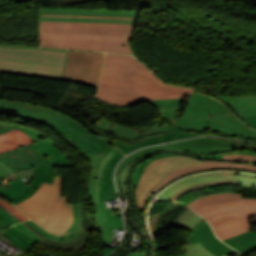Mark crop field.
Returning a JSON list of instances; mask_svg holds the SVG:
<instances>
[{"mask_svg": "<svg viewBox=\"0 0 256 256\" xmlns=\"http://www.w3.org/2000/svg\"><path fill=\"white\" fill-rule=\"evenodd\" d=\"M194 91L167 85L144 64L122 54H105L96 98L119 106H134L144 100L180 98Z\"/></svg>", "mask_w": 256, "mask_h": 256, "instance_id": "8a807250", "label": "crop field"}, {"mask_svg": "<svg viewBox=\"0 0 256 256\" xmlns=\"http://www.w3.org/2000/svg\"><path fill=\"white\" fill-rule=\"evenodd\" d=\"M134 25L47 22L40 24V47L131 54Z\"/></svg>", "mask_w": 256, "mask_h": 256, "instance_id": "ac0d7876", "label": "crop field"}, {"mask_svg": "<svg viewBox=\"0 0 256 256\" xmlns=\"http://www.w3.org/2000/svg\"><path fill=\"white\" fill-rule=\"evenodd\" d=\"M92 166L89 179V191L96 213L91 214L92 220L99 231L101 229V242L109 246L113 229H123V219L120 211L112 212L106 209L104 200L117 198L113 182L115 165L124 157L116 148L110 147L102 154H85Z\"/></svg>", "mask_w": 256, "mask_h": 256, "instance_id": "34b2d1b8", "label": "crop field"}, {"mask_svg": "<svg viewBox=\"0 0 256 256\" xmlns=\"http://www.w3.org/2000/svg\"><path fill=\"white\" fill-rule=\"evenodd\" d=\"M60 113L25 102L0 99V114L11 115L33 122L39 120L40 124L54 129L80 154H98L110 147V144L93 135L87 128Z\"/></svg>", "mask_w": 256, "mask_h": 256, "instance_id": "412701ff", "label": "crop field"}, {"mask_svg": "<svg viewBox=\"0 0 256 256\" xmlns=\"http://www.w3.org/2000/svg\"><path fill=\"white\" fill-rule=\"evenodd\" d=\"M188 207L207 219L221 240L251 230L247 218L256 217V199H242L240 194L208 195Z\"/></svg>", "mask_w": 256, "mask_h": 256, "instance_id": "f4fd0767", "label": "crop field"}, {"mask_svg": "<svg viewBox=\"0 0 256 256\" xmlns=\"http://www.w3.org/2000/svg\"><path fill=\"white\" fill-rule=\"evenodd\" d=\"M68 50L0 45V72L61 80Z\"/></svg>", "mask_w": 256, "mask_h": 256, "instance_id": "dd49c442", "label": "crop field"}, {"mask_svg": "<svg viewBox=\"0 0 256 256\" xmlns=\"http://www.w3.org/2000/svg\"><path fill=\"white\" fill-rule=\"evenodd\" d=\"M207 125L214 131L256 138V131L236 119L226 106L195 92L189 96L185 111L175 126L186 130L205 131Z\"/></svg>", "mask_w": 256, "mask_h": 256, "instance_id": "e52e79f7", "label": "crop field"}, {"mask_svg": "<svg viewBox=\"0 0 256 256\" xmlns=\"http://www.w3.org/2000/svg\"><path fill=\"white\" fill-rule=\"evenodd\" d=\"M60 192L61 178H55L53 185L42 183L33 196L15 206L43 229L61 236L74 217L72 204L67 205V196L60 198Z\"/></svg>", "mask_w": 256, "mask_h": 256, "instance_id": "d8731c3e", "label": "crop field"}, {"mask_svg": "<svg viewBox=\"0 0 256 256\" xmlns=\"http://www.w3.org/2000/svg\"><path fill=\"white\" fill-rule=\"evenodd\" d=\"M183 98L180 99H165V100H156V101H148L152 105L156 106L158 108V114L159 116L163 117L164 119L170 120L172 123V126L165 125V124H153L151 127L144 131H137L132 129L131 127H121L117 124H114L104 118H100L98 121H96V127L98 129L110 131L111 133L115 135H119L127 140L134 139L142 134H151V133H157V132H169L172 131L169 134H162L159 136L149 137L145 138L143 142L136 143L133 145H123L117 141H112L110 139L102 138L106 140L108 143L112 145H116L123 153L128 154L142 146L159 143V142H167V141H173L178 140L182 138L192 137L199 134H189L181 132L180 129L174 127V120L176 118V115L178 113L179 105L182 102Z\"/></svg>", "mask_w": 256, "mask_h": 256, "instance_id": "5a996713", "label": "crop field"}, {"mask_svg": "<svg viewBox=\"0 0 256 256\" xmlns=\"http://www.w3.org/2000/svg\"><path fill=\"white\" fill-rule=\"evenodd\" d=\"M202 164L200 160L186 156H170L157 159L143 170L135 191L137 206L143 210L146 195L170 172L181 167Z\"/></svg>", "mask_w": 256, "mask_h": 256, "instance_id": "3316defc", "label": "crop field"}, {"mask_svg": "<svg viewBox=\"0 0 256 256\" xmlns=\"http://www.w3.org/2000/svg\"><path fill=\"white\" fill-rule=\"evenodd\" d=\"M104 53L70 51L63 79L97 88Z\"/></svg>", "mask_w": 256, "mask_h": 256, "instance_id": "28ad6ade", "label": "crop field"}, {"mask_svg": "<svg viewBox=\"0 0 256 256\" xmlns=\"http://www.w3.org/2000/svg\"><path fill=\"white\" fill-rule=\"evenodd\" d=\"M137 11H75L41 8V20L134 24Z\"/></svg>", "mask_w": 256, "mask_h": 256, "instance_id": "d1516ede", "label": "crop field"}, {"mask_svg": "<svg viewBox=\"0 0 256 256\" xmlns=\"http://www.w3.org/2000/svg\"><path fill=\"white\" fill-rule=\"evenodd\" d=\"M242 147H253L256 148V146H240L235 143H228L225 141H219L216 139H210V138H196V139H190L185 141H179L174 142L166 145H161L157 147L152 148H146L141 149L131 155H129L125 160H123L117 170H116V183L118 185L120 197H122L121 190L119 187V181H118V171L129 162L135 161L141 157H144L150 153H153L155 151L159 150H176V151H189V152H195V153H207V152H214L219 150H225V149H231V148H242Z\"/></svg>", "mask_w": 256, "mask_h": 256, "instance_id": "22f410ed", "label": "crop field"}, {"mask_svg": "<svg viewBox=\"0 0 256 256\" xmlns=\"http://www.w3.org/2000/svg\"><path fill=\"white\" fill-rule=\"evenodd\" d=\"M223 159L237 160V161H248V162H250V164H233V163H229V162L202 161L203 165L181 168L179 170H176V171L168 174L164 178V180L149 193L148 197H150L156 190H158L160 187L165 185L170 180H172L176 177H179L183 174L192 172V171L213 169V168H238V169L256 171V156L241 155V154H227V155H224Z\"/></svg>", "mask_w": 256, "mask_h": 256, "instance_id": "cbeb9de0", "label": "crop field"}, {"mask_svg": "<svg viewBox=\"0 0 256 256\" xmlns=\"http://www.w3.org/2000/svg\"><path fill=\"white\" fill-rule=\"evenodd\" d=\"M215 179H239L240 184L244 185H256V178L243 176V175H231V172H210L202 173L190 176L185 179H181L174 184L170 185L158 196L167 200L170 196L174 195L177 191L190 186L192 184L205 182Z\"/></svg>", "mask_w": 256, "mask_h": 256, "instance_id": "5142ce71", "label": "crop field"}, {"mask_svg": "<svg viewBox=\"0 0 256 256\" xmlns=\"http://www.w3.org/2000/svg\"><path fill=\"white\" fill-rule=\"evenodd\" d=\"M0 161L8 166L12 172L45 163L35 150L34 143L7 153H1Z\"/></svg>", "mask_w": 256, "mask_h": 256, "instance_id": "d9b57169", "label": "crop field"}, {"mask_svg": "<svg viewBox=\"0 0 256 256\" xmlns=\"http://www.w3.org/2000/svg\"><path fill=\"white\" fill-rule=\"evenodd\" d=\"M188 244L200 242L204 247L217 256L238 253L222 243L213 233L210 225L206 220L201 222L191 232Z\"/></svg>", "mask_w": 256, "mask_h": 256, "instance_id": "733c2abd", "label": "crop field"}, {"mask_svg": "<svg viewBox=\"0 0 256 256\" xmlns=\"http://www.w3.org/2000/svg\"><path fill=\"white\" fill-rule=\"evenodd\" d=\"M35 147L39 155L53 167L76 165L60 146L45 136L35 141Z\"/></svg>", "mask_w": 256, "mask_h": 256, "instance_id": "4a817a6b", "label": "crop field"}, {"mask_svg": "<svg viewBox=\"0 0 256 256\" xmlns=\"http://www.w3.org/2000/svg\"><path fill=\"white\" fill-rule=\"evenodd\" d=\"M36 175L33 177L27 188L19 195L11 198L13 204L20 202L32 194H34L42 182L50 183L53 182V167L47 163L34 167Z\"/></svg>", "mask_w": 256, "mask_h": 256, "instance_id": "bc2a9ffb", "label": "crop field"}, {"mask_svg": "<svg viewBox=\"0 0 256 256\" xmlns=\"http://www.w3.org/2000/svg\"><path fill=\"white\" fill-rule=\"evenodd\" d=\"M226 103L239 117L256 114V96L254 97H214ZM225 104V105H226Z\"/></svg>", "mask_w": 256, "mask_h": 256, "instance_id": "214f88e0", "label": "crop field"}, {"mask_svg": "<svg viewBox=\"0 0 256 256\" xmlns=\"http://www.w3.org/2000/svg\"><path fill=\"white\" fill-rule=\"evenodd\" d=\"M33 142L34 141L32 139H30L26 134L19 130L1 134L0 153L7 152L11 149H15Z\"/></svg>", "mask_w": 256, "mask_h": 256, "instance_id": "92a150f3", "label": "crop field"}, {"mask_svg": "<svg viewBox=\"0 0 256 256\" xmlns=\"http://www.w3.org/2000/svg\"><path fill=\"white\" fill-rule=\"evenodd\" d=\"M227 153H242V154H254L256 155L255 152L252 151H233V152H227ZM227 153H222V154H218V155H200V156H192V155H187V154H176V153H163V154H159L157 156L151 157L148 160H146L145 162L141 163L139 166H137L134 170V173L132 175V183H133V188L135 189L139 178L142 174V169L151 161H153L154 159L160 158V157H164V156H170V155H187L193 158H215V159H222L223 154H227Z\"/></svg>", "mask_w": 256, "mask_h": 256, "instance_id": "dafd665d", "label": "crop field"}, {"mask_svg": "<svg viewBox=\"0 0 256 256\" xmlns=\"http://www.w3.org/2000/svg\"><path fill=\"white\" fill-rule=\"evenodd\" d=\"M224 242L241 253L246 254L256 249V233L247 232Z\"/></svg>", "mask_w": 256, "mask_h": 256, "instance_id": "00972430", "label": "crop field"}, {"mask_svg": "<svg viewBox=\"0 0 256 256\" xmlns=\"http://www.w3.org/2000/svg\"><path fill=\"white\" fill-rule=\"evenodd\" d=\"M3 234L12 244H15L18 247L24 248L26 250L38 243L15 226L7 228L3 231Z\"/></svg>", "mask_w": 256, "mask_h": 256, "instance_id": "a9b5d70f", "label": "crop field"}, {"mask_svg": "<svg viewBox=\"0 0 256 256\" xmlns=\"http://www.w3.org/2000/svg\"><path fill=\"white\" fill-rule=\"evenodd\" d=\"M197 215L191 209L187 210L179 218V220L176 224V227L184 228V229L192 231V229L196 225H198L201 221L204 220V219H202L201 217H199Z\"/></svg>", "mask_w": 256, "mask_h": 256, "instance_id": "4177f3b9", "label": "crop field"}, {"mask_svg": "<svg viewBox=\"0 0 256 256\" xmlns=\"http://www.w3.org/2000/svg\"><path fill=\"white\" fill-rule=\"evenodd\" d=\"M218 184H236L239 185L238 180H216V181H209V182H205V183H200V184H196V185H192L184 190H181L179 192H177L174 196L170 197L168 200L169 201H175L176 199H178L181 195L193 190V189H197V188H202V187H206V186H212V185H218Z\"/></svg>", "mask_w": 256, "mask_h": 256, "instance_id": "730fd06b", "label": "crop field"}, {"mask_svg": "<svg viewBox=\"0 0 256 256\" xmlns=\"http://www.w3.org/2000/svg\"><path fill=\"white\" fill-rule=\"evenodd\" d=\"M9 188L5 189L4 186L0 187V195L11 198L16 194L21 193L27 186L21 179L17 178L13 181L8 182Z\"/></svg>", "mask_w": 256, "mask_h": 256, "instance_id": "eef30255", "label": "crop field"}, {"mask_svg": "<svg viewBox=\"0 0 256 256\" xmlns=\"http://www.w3.org/2000/svg\"><path fill=\"white\" fill-rule=\"evenodd\" d=\"M186 256H215L206 248H204L200 243L186 245Z\"/></svg>", "mask_w": 256, "mask_h": 256, "instance_id": "ae1a2a85", "label": "crop field"}, {"mask_svg": "<svg viewBox=\"0 0 256 256\" xmlns=\"http://www.w3.org/2000/svg\"><path fill=\"white\" fill-rule=\"evenodd\" d=\"M0 206L6 211L10 212L13 216H15L20 222L28 219L24 214L18 211L12 204H10L7 200L0 197Z\"/></svg>", "mask_w": 256, "mask_h": 256, "instance_id": "d3111659", "label": "crop field"}, {"mask_svg": "<svg viewBox=\"0 0 256 256\" xmlns=\"http://www.w3.org/2000/svg\"><path fill=\"white\" fill-rule=\"evenodd\" d=\"M0 126L2 127H8V128H14V129H19L22 130L24 133H26L30 138H32L34 141L44 135L30 129L27 127H22V126H17V125H13L10 123H6V122H0Z\"/></svg>", "mask_w": 256, "mask_h": 256, "instance_id": "750c4746", "label": "crop field"}, {"mask_svg": "<svg viewBox=\"0 0 256 256\" xmlns=\"http://www.w3.org/2000/svg\"><path fill=\"white\" fill-rule=\"evenodd\" d=\"M149 156H151V155H149ZM149 156H147V157H149ZM147 157H144V158H142L140 160H137V161H135V162L125 166L123 168V170L120 172L119 178H120V181H121V187H122V191H123V195H124L125 199L127 198L126 191H125V182H126V178H127L128 172L132 169L134 164H136L137 162H139V161H141V160H143V159H145Z\"/></svg>", "mask_w": 256, "mask_h": 256, "instance_id": "bd1437ed", "label": "crop field"}, {"mask_svg": "<svg viewBox=\"0 0 256 256\" xmlns=\"http://www.w3.org/2000/svg\"><path fill=\"white\" fill-rule=\"evenodd\" d=\"M26 223H28V224H29L30 226H32L34 229H36L37 231H39L40 233H42V234H44V235H46V236L50 235V236H54V237H57V238H61V237H59V236H56V235H53V234H50V233L44 231L42 228H40L38 225H36V224H35L34 222H32L31 220L26 221ZM61 239H63V238H61Z\"/></svg>", "mask_w": 256, "mask_h": 256, "instance_id": "1d83c4d3", "label": "crop field"}, {"mask_svg": "<svg viewBox=\"0 0 256 256\" xmlns=\"http://www.w3.org/2000/svg\"><path fill=\"white\" fill-rule=\"evenodd\" d=\"M13 225V223L0 213V227L2 229Z\"/></svg>", "mask_w": 256, "mask_h": 256, "instance_id": "120bbe31", "label": "crop field"}, {"mask_svg": "<svg viewBox=\"0 0 256 256\" xmlns=\"http://www.w3.org/2000/svg\"><path fill=\"white\" fill-rule=\"evenodd\" d=\"M241 119H243L248 125L256 129V115L242 117Z\"/></svg>", "mask_w": 256, "mask_h": 256, "instance_id": "d32e631a", "label": "crop field"}, {"mask_svg": "<svg viewBox=\"0 0 256 256\" xmlns=\"http://www.w3.org/2000/svg\"><path fill=\"white\" fill-rule=\"evenodd\" d=\"M9 174V169L5 168L1 163H0V186H1V180Z\"/></svg>", "mask_w": 256, "mask_h": 256, "instance_id": "5866460e", "label": "crop field"}, {"mask_svg": "<svg viewBox=\"0 0 256 256\" xmlns=\"http://www.w3.org/2000/svg\"><path fill=\"white\" fill-rule=\"evenodd\" d=\"M0 212L4 216L8 217L14 224L19 223V221L15 217H13L10 213H8L5 210H3L1 207H0Z\"/></svg>", "mask_w": 256, "mask_h": 256, "instance_id": "028f5c9d", "label": "crop field"}, {"mask_svg": "<svg viewBox=\"0 0 256 256\" xmlns=\"http://www.w3.org/2000/svg\"><path fill=\"white\" fill-rule=\"evenodd\" d=\"M232 174H243V175H249V176L256 177V175L245 174V173H237V172H232ZM242 186H244V185H242ZM244 187H254V188H256V186H244Z\"/></svg>", "mask_w": 256, "mask_h": 256, "instance_id": "e1f06a70", "label": "crop field"}, {"mask_svg": "<svg viewBox=\"0 0 256 256\" xmlns=\"http://www.w3.org/2000/svg\"><path fill=\"white\" fill-rule=\"evenodd\" d=\"M13 129H7V128H1L0 127V134L1 133H5V132H9V131H12Z\"/></svg>", "mask_w": 256, "mask_h": 256, "instance_id": "0bd39190", "label": "crop field"}, {"mask_svg": "<svg viewBox=\"0 0 256 256\" xmlns=\"http://www.w3.org/2000/svg\"><path fill=\"white\" fill-rule=\"evenodd\" d=\"M14 1L19 2V1H26V0H14Z\"/></svg>", "mask_w": 256, "mask_h": 256, "instance_id": "b80d0937", "label": "crop field"}]
</instances>
